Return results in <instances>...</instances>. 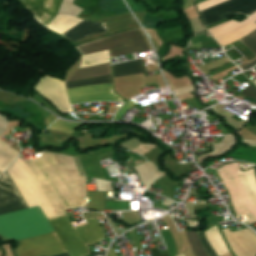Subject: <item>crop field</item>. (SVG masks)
Listing matches in <instances>:
<instances>
[{
  "label": "crop field",
  "instance_id": "15",
  "mask_svg": "<svg viewBox=\"0 0 256 256\" xmlns=\"http://www.w3.org/2000/svg\"><path fill=\"white\" fill-rule=\"evenodd\" d=\"M240 41L256 55V30L247 35V37L240 39ZM254 66H256V58L239 67H241L243 70H247Z\"/></svg>",
  "mask_w": 256,
  "mask_h": 256
},
{
  "label": "crop field",
  "instance_id": "11",
  "mask_svg": "<svg viewBox=\"0 0 256 256\" xmlns=\"http://www.w3.org/2000/svg\"><path fill=\"white\" fill-rule=\"evenodd\" d=\"M112 69L114 77L126 76L147 71L142 59L114 64L112 65Z\"/></svg>",
  "mask_w": 256,
  "mask_h": 256
},
{
  "label": "crop field",
  "instance_id": "7",
  "mask_svg": "<svg viewBox=\"0 0 256 256\" xmlns=\"http://www.w3.org/2000/svg\"><path fill=\"white\" fill-rule=\"evenodd\" d=\"M236 256H256V234L250 229L231 233L229 228L222 230Z\"/></svg>",
  "mask_w": 256,
  "mask_h": 256
},
{
  "label": "crop field",
  "instance_id": "4",
  "mask_svg": "<svg viewBox=\"0 0 256 256\" xmlns=\"http://www.w3.org/2000/svg\"><path fill=\"white\" fill-rule=\"evenodd\" d=\"M255 11L256 0H230L214 8L203 11L200 14L207 27L231 15L242 14L248 17Z\"/></svg>",
  "mask_w": 256,
  "mask_h": 256
},
{
  "label": "crop field",
  "instance_id": "6",
  "mask_svg": "<svg viewBox=\"0 0 256 256\" xmlns=\"http://www.w3.org/2000/svg\"><path fill=\"white\" fill-rule=\"evenodd\" d=\"M27 208V204L6 171L0 177V214Z\"/></svg>",
  "mask_w": 256,
  "mask_h": 256
},
{
  "label": "crop field",
  "instance_id": "21",
  "mask_svg": "<svg viewBox=\"0 0 256 256\" xmlns=\"http://www.w3.org/2000/svg\"><path fill=\"white\" fill-rule=\"evenodd\" d=\"M57 117H55V116H53V115H51L50 117H48L47 119H46V125H47V127L56 119Z\"/></svg>",
  "mask_w": 256,
  "mask_h": 256
},
{
  "label": "crop field",
  "instance_id": "17",
  "mask_svg": "<svg viewBox=\"0 0 256 256\" xmlns=\"http://www.w3.org/2000/svg\"><path fill=\"white\" fill-rule=\"evenodd\" d=\"M63 124L78 129L81 125H83L85 123H71V122H66V121L58 120L54 125H52L48 129L49 130H54V131H59V132H64V133H69V134H72L73 132L76 131V129L67 127V126H65Z\"/></svg>",
  "mask_w": 256,
  "mask_h": 256
},
{
  "label": "crop field",
  "instance_id": "2",
  "mask_svg": "<svg viewBox=\"0 0 256 256\" xmlns=\"http://www.w3.org/2000/svg\"><path fill=\"white\" fill-rule=\"evenodd\" d=\"M53 232L39 206L0 216V234L7 239H23Z\"/></svg>",
  "mask_w": 256,
  "mask_h": 256
},
{
  "label": "crop field",
  "instance_id": "10",
  "mask_svg": "<svg viewBox=\"0 0 256 256\" xmlns=\"http://www.w3.org/2000/svg\"><path fill=\"white\" fill-rule=\"evenodd\" d=\"M105 74H112L110 62L77 69L76 72L69 78L68 81H73V80H78V79H83V78H88L93 76H99V75H105Z\"/></svg>",
  "mask_w": 256,
  "mask_h": 256
},
{
  "label": "crop field",
  "instance_id": "5",
  "mask_svg": "<svg viewBox=\"0 0 256 256\" xmlns=\"http://www.w3.org/2000/svg\"><path fill=\"white\" fill-rule=\"evenodd\" d=\"M71 104L88 101H123L112 90V84L86 86L67 90Z\"/></svg>",
  "mask_w": 256,
  "mask_h": 256
},
{
  "label": "crop field",
  "instance_id": "20",
  "mask_svg": "<svg viewBox=\"0 0 256 256\" xmlns=\"http://www.w3.org/2000/svg\"><path fill=\"white\" fill-rule=\"evenodd\" d=\"M241 93L252 97V99L256 100V88L254 87V85H250L249 87H247L245 90H243Z\"/></svg>",
  "mask_w": 256,
  "mask_h": 256
},
{
  "label": "crop field",
  "instance_id": "24",
  "mask_svg": "<svg viewBox=\"0 0 256 256\" xmlns=\"http://www.w3.org/2000/svg\"><path fill=\"white\" fill-rule=\"evenodd\" d=\"M203 1H206V0H196V4L200 3V2H203Z\"/></svg>",
  "mask_w": 256,
  "mask_h": 256
},
{
  "label": "crop field",
  "instance_id": "1",
  "mask_svg": "<svg viewBox=\"0 0 256 256\" xmlns=\"http://www.w3.org/2000/svg\"><path fill=\"white\" fill-rule=\"evenodd\" d=\"M56 232L16 241L19 256H50L69 252L70 256L88 255L85 244L105 239L97 217L87 218V224L73 228L67 215L49 219Z\"/></svg>",
  "mask_w": 256,
  "mask_h": 256
},
{
  "label": "crop field",
  "instance_id": "8",
  "mask_svg": "<svg viewBox=\"0 0 256 256\" xmlns=\"http://www.w3.org/2000/svg\"><path fill=\"white\" fill-rule=\"evenodd\" d=\"M30 9L38 22L47 27L57 15L62 0H21Z\"/></svg>",
  "mask_w": 256,
  "mask_h": 256
},
{
  "label": "crop field",
  "instance_id": "12",
  "mask_svg": "<svg viewBox=\"0 0 256 256\" xmlns=\"http://www.w3.org/2000/svg\"><path fill=\"white\" fill-rule=\"evenodd\" d=\"M234 170L256 208V176L254 170L252 169L244 172L238 168Z\"/></svg>",
  "mask_w": 256,
  "mask_h": 256
},
{
  "label": "crop field",
  "instance_id": "14",
  "mask_svg": "<svg viewBox=\"0 0 256 256\" xmlns=\"http://www.w3.org/2000/svg\"><path fill=\"white\" fill-rule=\"evenodd\" d=\"M106 83H112V75H106V76L68 82L66 83V87L67 89H69V88H75V87L86 86V85L106 84Z\"/></svg>",
  "mask_w": 256,
  "mask_h": 256
},
{
  "label": "crop field",
  "instance_id": "9",
  "mask_svg": "<svg viewBox=\"0 0 256 256\" xmlns=\"http://www.w3.org/2000/svg\"><path fill=\"white\" fill-rule=\"evenodd\" d=\"M106 30L108 29L105 23L90 22L84 20L61 36L73 42Z\"/></svg>",
  "mask_w": 256,
  "mask_h": 256
},
{
  "label": "crop field",
  "instance_id": "16",
  "mask_svg": "<svg viewBox=\"0 0 256 256\" xmlns=\"http://www.w3.org/2000/svg\"><path fill=\"white\" fill-rule=\"evenodd\" d=\"M191 249L195 256H207L196 232L186 231Z\"/></svg>",
  "mask_w": 256,
  "mask_h": 256
},
{
  "label": "crop field",
  "instance_id": "22",
  "mask_svg": "<svg viewBox=\"0 0 256 256\" xmlns=\"http://www.w3.org/2000/svg\"><path fill=\"white\" fill-rule=\"evenodd\" d=\"M108 256H117V254H116V252H115L113 246H112V248L110 249V251H109V253H108Z\"/></svg>",
  "mask_w": 256,
  "mask_h": 256
},
{
  "label": "crop field",
  "instance_id": "19",
  "mask_svg": "<svg viewBox=\"0 0 256 256\" xmlns=\"http://www.w3.org/2000/svg\"><path fill=\"white\" fill-rule=\"evenodd\" d=\"M136 103L132 102L129 100V102L125 105H123L120 110L118 111V113L115 115L114 120H120L122 114L127 111L129 108H131L133 105H135ZM125 114V113H124ZM123 114V115H124Z\"/></svg>",
  "mask_w": 256,
  "mask_h": 256
},
{
  "label": "crop field",
  "instance_id": "13",
  "mask_svg": "<svg viewBox=\"0 0 256 256\" xmlns=\"http://www.w3.org/2000/svg\"><path fill=\"white\" fill-rule=\"evenodd\" d=\"M81 21L82 19L74 18L72 16L57 15L48 28L62 34Z\"/></svg>",
  "mask_w": 256,
  "mask_h": 256
},
{
  "label": "crop field",
  "instance_id": "18",
  "mask_svg": "<svg viewBox=\"0 0 256 256\" xmlns=\"http://www.w3.org/2000/svg\"><path fill=\"white\" fill-rule=\"evenodd\" d=\"M197 233L200 237V240H201V242L203 244V247H204L206 253L208 254V256H218V254L215 252V250L210 245L204 231H200V232H197Z\"/></svg>",
  "mask_w": 256,
  "mask_h": 256
},
{
  "label": "crop field",
  "instance_id": "3",
  "mask_svg": "<svg viewBox=\"0 0 256 256\" xmlns=\"http://www.w3.org/2000/svg\"><path fill=\"white\" fill-rule=\"evenodd\" d=\"M76 49L81 55L109 49L111 58L151 49L140 28L90 42Z\"/></svg>",
  "mask_w": 256,
  "mask_h": 256
},
{
  "label": "crop field",
  "instance_id": "23",
  "mask_svg": "<svg viewBox=\"0 0 256 256\" xmlns=\"http://www.w3.org/2000/svg\"><path fill=\"white\" fill-rule=\"evenodd\" d=\"M57 256H69L68 253L57 255Z\"/></svg>",
  "mask_w": 256,
  "mask_h": 256
}]
</instances>
